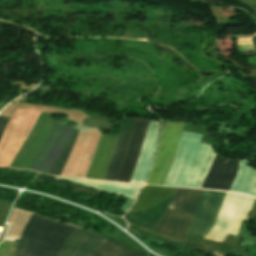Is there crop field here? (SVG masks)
Returning <instances> with one entry per match:
<instances>
[{
	"mask_svg": "<svg viewBox=\"0 0 256 256\" xmlns=\"http://www.w3.org/2000/svg\"><path fill=\"white\" fill-rule=\"evenodd\" d=\"M92 256H145L106 239Z\"/></svg>",
	"mask_w": 256,
	"mask_h": 256,
	"instance_id": "d1516ede",
	"label": "crop field"
},
{
	"mask_svg": "<svg viewBox=\"0 0 256 256\" xmlns=\"http://www.w3.org/2000/svg\"><path fill=\"white\" fill-rule=\"evenodd\" d=\"M253 49H256V36L251 37Z\"/></svg>",
	"mask_w": 256,
	"mask_h": 256,
	"instance_id": "92a150f3",
	"label": "crop field"
},
{
	"mask_svg": "<svg viewBox=\"0 0 256 256\" xmlns=\"http://www.w3.org/2000/svg\"><path fill=\"white\" fill-rule=\"evenodd\" d=\"M184 124L185 123L181 122H167L163 127L158 154L148 179V184H163L170 168Z\"/></svg>",
	"mask_w": 256,
	"mask_h": 256,
	"instance_id": "34b2d1b8",
	"label": "crop field"
},
{
	"mask_svg": "<svg viewBox=\"0 0 256 256\" xmlns=\"http://www.w3.org/2000/svg\"><path fill=\"white\" fill-rule=\"evenodd\" d=\"M74 128L75 127L68 126L67 123L58 122L45 145L35 158L30 170L48 174Z\"/></svg>",
	"mask_w": 256,
	"mask_h": 256,
	"instance_id": "f4fd0767",
	"label": "crop field"
},
{
	"mask_svg": "<svg viewBox=\"0 0 256 256\" xmlns=\"http://www.w3.org/2000/svg\"><path fill=\"white\" fill-rule=\"evenodd\" d=\"M120 200H123L126 202L127 197H120V196L115 195L112 205L118 207V205H119L118 201H120Z\"/></svg>",
	"mask_w": 256,
	"mask_h": 256,
	"instance_id": "4a817a6b",
	"label": "crop field"
},
{
	"mask_svg": "<svg viewBox=\"0 0 256 256\" xmlns=\"http://www.w3.org/2000/svg\"><path fill=\"white\" fill-rule=\"evenodd\" d=\"M103 240L104 237L76 228L57 256H91Z\"/></svg>",
	"mask_w": 256,
	"mask_h": 256,
	"instance_id": "d8731c3e",
	"label": "crop field"
},
{
	"mask_svg": "<svg viewBox=\"0 0 256 256\" xmlns=\"http://www.w3.org/2000/svg\"><path fill=\"white\" fill-rule=\"evenodd\" d=\"M147 120L136 119L131 137L125 152L117 181L129 182L138 160L146 129Z\"/></svg>",
	"mask_w": 256,
	"mask_h": 256,
	"instance_id": "e52e79f7",
	"label": "crop field"
},
{
	"mask_svg": "<svg viewBox=\"0 0 256 256\" xmlns=\"http://www.w3.org/2000/svg\"><path fill=\"white\" fill-rule=\"evenodd\" d=\"M176 188L146 186L130 214H137L174 194Z\"/></svg>",
	"mask_w": 256,
	"mask_h": 256,
	"instance_id": "28ad6ade",
	"label": "crop field"
},
{
	"mask_svg": "<svg viewBox=\"0 0 256 256\" xmlns=\"http://www.w3.org/2000/svg\"><path fill=\"white\" fill-rule=\"evenodd\" d=\"M238 161L216 155L200 188L228 190L235 178Z\"/></svg>",
	"mask_w": 256,
	"mask_h": 256,
	"instance_id": "dd49c442",
	"label": "crop field"
},
{
	"mask_svg": "<svg viewBox=\"0 0 256 256\" xmlns=\"http://www.w3.org/2000/svg\"><path fill=\"white\" fill-rule=\"evenodd\" d=\"M199 193L200 190L178 188L155 229L167 235L175 230V237H182L195 210Z\"/></svg>",
	"mask_w": 256,
	"mask_h": 256,
	"instance_id": "ac0d7876",
	"label": "crop field"
},
{
	"mask_svg": "<svg viewBox=\"0 0 256 256\" xmlns=\"http://www.w3.org/2000/svg\"><path fill=\"white\" fill-rule=\"evenodd\" d=\"M112 125L113 124L107 123L105 121L89 119V118H85L82 123V126L105 129V130H111Z\"/></svg>",
	"mask_w": 256,
	"mask_h": 256,
	"instance_id": "d9b57169",
	"label": "crop field"
},
{
	"mask_svg": "<svg viewBox=\"0 0 256 256\" xmlns=\"http://www.w3.org/2000/svg\"><path fill=\"white\" fill-rule=\"evenodd\" d=\"M36 179L51 182V183H54V184H57V185H60V186L66 187V188H70V189H73V190H76V191L93 194V195H96V196H101V194H102L101 191H96V190L83 188V187H80V186H77V185H74V184L66 183V182H63V181H59V180H56V179H52V178H48V177H44V176H40V175H37Z\"/></svg>",
	"mask_w": 256,
	"mask_h": 256,
	"instance_id": "5142ce71",
	"label": "crop field"
},
{
	"mask_svg": "<svg viewBox=\"0 0 256 256\" xmlns=\"http://www.w3.org/2000/svg\"><path fill=\"white\" fill-rule=\"evenodd\" d=\"M77 133L73 132V134L71 135V137L69 138V140L67 141L60 157L58 158V160L56 161V163L54 164L53 168L51 169V171L49 172L50 175H59L67 158L68 155L74 145V142L76 140L77 137Z\"/></svg>",
	"mask_w": 256,
	"mask_h": 256,
	"instance_id": "cbeb9de0",
	"label": "crop field"
},
{
	"mask_svg": "<svg viewBox=\"0 0 256 256\" xmlns=\"http://www.w3.org/2000/svg\"><path fill=\"white\" fill-rule=\"evenodd\" d=\"M256 35V34H255Z\"/></svg>",
	"mask_w": 256,
	"mask_h": 256,
	"instance_id": "00972430",
	"label": "crop field"
},
{
	"mask_svg": "<svg viewBox=\"0 0 256 256\" xmlns=\"http://www.w3.org/2000/svg\"><path fill=\"white\" fill-rule=\"evenodd\" d=\"M225 194L201 190L199 202L184 236L205 237L214 224Z\"/></svg>",
	"mask_w": 256,
	"mask_h": 256,
	"instance_id": "412701ff",
	"label": "crop field"
},
{
	"mask_svg": "<svg viewBox=\"0 0 256 256\" xmlns=\"http://www.w3.org/2000/svg\"><path fill=\"white\" fill-rule=\"evenodd\" d=\"M9 119L0 117V136Z\"/></svg>",
	"mask_w": 256,
	"mask_h": 256,
	"instance_id": "214f88e0",
	"label": "crop field"
},
{
	"mask_svg": "<svg viewBox=\"0 0 256 256\" xmlns=\"http://www.w3.org/2000/svg\"><path fill=\"white\" fill-rule=\"evenodd\" d=\"M115 136L101 134L94 156L85 178L102 180L108 161L110 159L115 141Z\"/></svg>",
	"mask_w": 256,
	"mask_h": 256,
	"instance_id": "5a996713",
	"label": "crop field"
},
{
	"mask_svg": "<svg viewBox=\"0 0 256 256\" xmlns=\"http://www.w3.org/2000/svg\"><path fill=\"white\" fill-rule=\"evenodd\" d=\"M73 229L32 214L23 229L15 255L56 256Z\"/></svg>",
	"mask_w": 256,
	"mask_h": 256,
	"instance_id": "8a807250",
	"label": "crop field"
},
{
	"mask_svg": "<svg viewBox=\"0 0 256 256\" xmlns=\"http://www.w3.org/2000/svg\"><path fill=\"white\" fill-rule=\"evenodd\" d=\"M252 10H253L254 14H256V8H252Z\"/></svg>",
	"mask_w": 256,
	"mask_h": 256,
	"instance_id": "dafd665d",
	"label": "crop field"
},
{
	"mask_svg": "<svg viewBox=\"0 0 256 256\" xmlns=\"http://www.w3.org/2000/svg\"><path fill=\"white\" fill-rule=\"evenodd\" d=\"M135 119L124 118L120 130V135L117 138L114 151L112 153L111 159L107 166L105 176L103 180L116 181L119 168L124 156V152L130 137V133L133 127Z\"/></svg>",
	"mask_w": 256,
	"mask_h": 256,
	"instance_id": "3316defc",
	"label": "crop field"
},
{
	"mask_svg": "<svg viewBox=\"0 0 256 256\" xmlns=\"http://www.w3.org/2000/svg\"><path fill=\"white\" fill-rule=\"evenodd\" d=\"M18 244L4 242L0 244V256H14Z\"/></svg>",
	"mask_w": 256,
	"mask_h": 256,
	"instance_id": "733c2abd",
	"label": "crop field"
},
{
	"mask_svg": "<svg viewBox=\"0 0 256 256\" xmlns=\"http://www.w3.org/2000/svg\"><path fill=\"white\" fill-rule=\"evenodd\" d=\"M128 228H130L131 230L139 233V234H143V235H147V236H151V237H155V238H158L160 240H163V241H166L168 243H173V244H178V245H183V246H190V247H195L197 249H200L202 251H205V252H208L210 254H213L215 256H225V254L217 251V250H214L212 248H209L207 246H204V245H201L199 243H189V242H176V241H172V240H169L167 238H164V237H161L159 235H156V234H152V233H149V232H146V231H143L135 226H132L130 224H128Z\"/></svg>",
	"mask_w": 256,
	"mask_h": 256,
	"instance_id": "22f410ed",
	"label": "crop field"
},
{
	"mask_svg": "<svg viewBox=\"0 0 256 256\" xmlns=\"http://www.w3.org/2000/svg\"><path fill=\"white\" fill-rule=\"evenodd\" d=\"M241 57L256 56V50L239 52Z\"/></svg>",
	"mask_w": 256,
	"mask_h": 256,
	"instance_id": "bc2a9ffb",
	"label": "crop field"
}]
</instances>
